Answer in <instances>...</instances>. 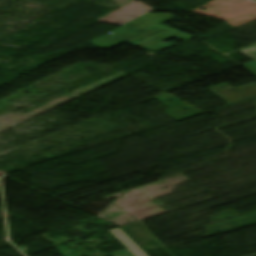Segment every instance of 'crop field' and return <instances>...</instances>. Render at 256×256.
Returning a JSON list of instances; mask_svg holds the SVG:
<instances>
[{
	"label": "crop field",
	"instance_id": "crop-field-1",
	"mask_svg": "<svg viewBox=\"0 0 256 256\" xmlns=\"http://www.w3.org/2000/svg\"><path fill=\"white\" fill-rule=\"evenodd\" d=\"M110 232L135 256H148L135 242H133L121 229Z\"/></svg>",
	"mask_w": 256,
	"mask_h": 256
},
{
	"label": "crop field",
	"instance_id": "crop-field-2",
	"mask_svg": "<svg viewBox=\"0 0 256 256\" xmlns=\"http://www.w3.org/2000/svg\"><path fill=\"white\" fill-rule=\"evenodd\" d=\"M244 55L256 61V45L240 51Z\"/></svg>",
	"mask_w": 256,
	"mask_h": 256
},
{
	"label": "crop field",
	"instance_id": "crop-field-3",
	"mask_svg": "<svg viewBox=\"0 0 256 256\" xmlns=\"http://www.w3.org/2000/svg\"><path fill=\"white\" fill-rule=\"evenodd\" d=\"M112 256H134L128 250L112 252L110 253Z\"/></svg>",
	"mask_w": 256,
	"mask_h": 256
},
{
	"label": "crop field",
	"instance_id": "crop-field-4",
	"mask_svg": "<svg viewBox=\"0 0 256 256\" xmlns=\"http://www.w3.org/2000/svg\"><path fill=\"white\" fill-rule=\"evenodd\" d=\"M157 29H159V28H153V29H151V30H149V31H147V32H145V33H143V34H141V35H139V36H137V37H135V38H133V39L127 41L126 43H129V42H131V41H133V40H135V39H137V38H140V37H142V36H144V35H146V34H148V33L153 32V31H155V30H157Z\"/></svg>",
	"mask_w": 256,
	"mask_h": 256
}]
</instances>
